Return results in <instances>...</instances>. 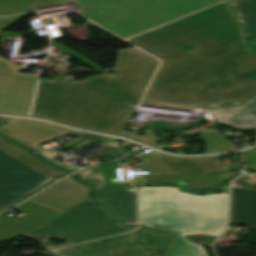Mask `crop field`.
<instances>
[{"label":"crop field","mask_w":256,"mask_h":256,"mask_svg":"<svg viewBox=\"0 0 256 256\" xmlns=\"http://www.w3.org/2000/svg\"><path fill=\"white\" fill-rule=\"evenodd\" d=\"M0 118L7 122V124L0 126V133L28 146L35 152L42 151L40 144L51 139L65 135L69 132L76 134L80 133L79 131L65 129L41 121Z\"/></svg>","instance_id":"crop-field-7"},{"label":"crop field","mask_w":256,"mask_h":256,"mask_svg":"<svg viewBox=\"0 0 256 256\" xmlns=\"http://www.w3.org/2000/svg\"><path fill=\"white\" fill-rule=\"evenodd\" d=\"M18 208L32 214L18 222L3 214H0V241L11 240L46 223L58 215L28 201L24 202Z\"/></svg>","instance_id":"crop-field-10"},{"label":"crop field","mask_w":256,"mask_h":256,"mask_svg":"<svg viewBox=\"0 0 256 256\" xmlns=\"http://www.w3.org/2000/svg\"><path fill=\"white\" fill-rule=\"evenodd\" d=\"M246 169L256 168V148L244 151Z\"/></svg>","instance_id":"crop-field-26"},{"label":"crop field","mask_w":256,"mask_h":256,"mask_svg":"<svg viewBox=\"0 0 256 256\" xmlns=\"http://www.w3.org/2000/svg\"><path fill=\"white\" fill-rule=\"evenodd\" d=\"M232 155L234 157L235 162L230 163L231 166H229L228 170H225L226 172L237 171V170L241 169L240 164H239V155H238V153L232 154Z\"/></svg>","instance_id":"crop-field-29"},{"label":"crop field","mask_w":256,"mask_h":256,"mask_svg":"<svg viewBox=\"0 0 256 256\" xmlns=\"http://www.w3.org/2000/svg\"><path fill=\"white\" fill-rule=\"evenodd\" d=\"M142 156H159L164 175L181 174H214L223 173L224 167L219 156L198 158H177L155 154H142Z\"/></svg>","instance_id":"crop-field-9"},{"label":"crop field","mask_w":256,"mask_h":256,"mask_svg":"<svg viewBox=\"0 0 256 256\" xmlns=\"http://www.w3.org/2000/svg\"><path fill=\"white\" fill-rule=\"evenodd\" d=\"M142 236L138 241L152 249L156 256H168L178 233L142 227L138 229Z\"/></svg>","instance_id":"crop-field-14"},{"label":"crop field","mask_w":256,"mask_h":256,"mask_svg":"<svg viewBox=\"0 0 256 256\" xmlns=\"http://www.w3.org/2000/svg\"><path fill=\"white\" fill-rule=\"evenodd\" d=\"M250 39L256 37V0H230Z\"/></svg>","instance_id":"crop-field-15"},{"label":"crop field","mask_w":256,"mask_h":256,"mask_svg":"<svg viewBox=\"0 0 256 256\" xmlns=\"http://www.w3.org/2000/svg\"><path fill=\"white\" fill-rule=\"evenodd\" d=\"M141 103L195 108V106H191V105H180V104H169V103H158V102H147V101H141ZM238 105L239 104L236 102H231V103L201 105V106H197L196 109H202V108L215 109V108L231 107V106H238Z\"/></svg>","instance_id":"crop-field-24"},{"label":"crop field","mask_w":256,"mask_h":256,"mask_svg":"<svg viewBox=\"0 0 256 256\" xmlns=\"http://www.w3.org/2000/svg\"><path fill=\"white\" fill-rule=\"evenodd\" d=\"M73 1L80 14L128 38L223 0H58Z\"/></svg>","instance_id":"crop-field-2"},{"label":"crop field","mask_w":256,"mask_h":256,"mask_svg":"<svg viewBox=\"0 0 256 256\" xmlns=\"http://www.w3.org/2000/svg\"><path fill=\"white\" fill-rule=\"evenodd\" d=\"M162 145H159V144H157V145H155V146H153L154 148H156V149H158V148H160Z\"/></svg>","instance_id":"crop-field-31"},{"label":"crop field","mask_w":256,"mask_h":256,"mask_svg":"<svg viewBox=\"0 0 256 256\" xmlns=\"http://www.w3.org/2000/svg\"><path fill=\"white\" fill-rule=\"evenodd\" d=\"M99 166L107 182V185H112L110 179L113 177H117L115 173V168L119 167L118 161L99 163Z\"/></svg>","instance_id":"crop-field-23"},{"label":"crop field","mask_w":256,"mask_h":256,"mask_svg":"<svg viewBox=\"0 0 256 256\" xmlns=\"http://www.w3.org/2000/svg\"><path fill=\"white\" fill-rule=\"evenodd\" d=\"M142 170H149V175H142L140 181L133 184H144L143 176L163 175L158 157H142Z\"/></svg>","instance_id":"crop-field-20"},{"label":"crop field","mask_w":256,"mask_h":256,"mask_svg":"<svg viewBox=\"0 0 256 256\" xmlns=\"http://www.w3.org/2000/svg\"><path fill=\"white\" fill-rule=\"evenodd\" d=\"M223 5H224V7H225V9H226V11H227V13H228V15L230 16L231 20L233 21V23H234V25H235V27H236V29H237V31H238L240 37H241V39H240V41H239L238 44H239L240 46H242L250 55H253V56L256 57V52H254L252 49H250V48L244 43V42H246L247 38L245 37V34H244L243 30L241 29L239 23L237 22V19H236V17H235L234 14H233V11H232L230 5L228 4L227 1H226V2H223Z\"/></svg>","instance_id":"crop-field-21"},{"label":"crop field","mask_w":256,"mask_h":256,"mask_svg":"<svg viewBox=\"0 0 256 256\" xmlns=\"http://www.w3.org/2000/svg\"><path fill=\"white\" fill-rule=\"evenodd\" d=\"M231 223L256 227V189L232 187Z\"/></svg>","instance_id":"crop-field-12"},{"label":"crop field","mask_w":256,"mask_h":256,"mask_svg":"<svg viewBox=\"0 0 256 256\" xmlns=\"http://www.w3.org/2000/svg\"><path fill=\"white\" fill-rule=\"evenodd\" d=\"M93 141H99V142L107 143V144H115L103 136L84 133V134L72 139L71 141L67 142L66 144L62 145L61 147L55 148V150L78 148L83 145L89 144Z\"/></svg>","instance_id":"crop-field-18"},{"label":"crop field","mask_w":256,"mask_h":256,"mask_svg":"<svg viewBox=\"0 0 256 256\" xmlns=\"http://www.w3.org/2000/svg\"><path fill=\"white\" fill-rule=\"evenodd\" d=\"M51 179L0 151V211Z\"/></svg>","instance_id":"crop-field-5"},{"label":"crop field","mask_w":256,"mask_h":256,"mask_svg":"<svg viewBox=\"0 0 256 256\" xmlns=\"http://www.w3.org/2000/svg\"><path fill=\"white\" fill-rule=\"evenodd\" d=\"M247 44L250 45L254 50H256V38L249 40Z\"/></svg>","instance_id":"crop-field-30"},{"label":"crop field","mask_w":256,"mask_h":256,"mask_svg":"<svg viewBox=\"0 0 256 256\" xmlns=\"http://www.w3.org/2000/svg\"><path fill=\"white\" fill-rule=\"evenodd\" d=\"M37 154H39V155L43 156L44 158H46V159H48V160L54 162L55 165H57V166H60V167H63V168H66V169H69V170H72V171H74V170L77 169V168H74V167H71V166H68V165H62V164L58 163V161H56V160L53 158V156L56 155V154H58V152H44V151H43V152H39V153H37ZM48 160H47V161H48Z\"/></svg>","instance_id":"crop-field-28"},{"label":"crop field","mask_w":256,"mask_h":256,"mask_svg":"<svg viewBox=\"0 0 256 256\" xmlns=\"http://www.w3.org/2000/svg\"><path fill=\"white\" fill-rule=\"evenodd\" d=\"M220 174L214 175H182V176H153V177H144L145 184L148 182L154 183H167L173 180H184L190 183V185H201L204 187L211 186L220 181ZM194 180H199L200 183H194Z\"/></svg>","instance_id":"crop-field-17"},{"label":"crop field","mask_w":256,"mask_h":256,"mask_svg":"<svg viewBox=\"0 0 256 256\" xmlns=\"http://www.w3.org/2000/svg\"><path fill=\"white\" fill-rule=\"evenodd\" d=\"M129 230L131 229L114 219L103 205L88 197L22 236L39 241L44 249L49 250ZM49 238L68 240L69 243L55 246Z\"/></svg>","instance_id":"crop-field-3"},{"label":"crop field","mask_w":256,"mask_h":256,"mask_svg":"<svg viewBox=\"0 0 256 256\" xmlns=\"http://www.w3.org/2000/svg\"><path fill=\"white\" fill-rule=\"evenodd\" d=\"M138 233L133 231L55 251L56 256H152V254L134 242Z\"/></svg>","instance_id":"crop-field-6"},{"label":"crop field","mask_w":256,"mask_h":256,"mask_svg":"<svg viewBox=\"0 0 256 256\" xmlns=\"http://www.w3.org/2000/svg\"><path fill=\"white\" fill-rule=\"evenodd\" d=\"M176 187H139L140 224L179 232L169 256H208L184 235L218 236L227 225L228 186L220 195L194 196Z\"/></svg>","instance_id":"crop-field-1"},{"label":"crop field","mask_w":256,"mask_h":256,"mask_svg":"<svg viewBox=\"0 0 256 256\" xmlns=\"http://www.w3.org/2000/svg\"><path fill=\"white\" fill-rule=\"evenodd\" d=\"M206 142L207 153H218L237 149L235 144L229 142L225 136L215 129H203L199 132Z\"/></svg>","instance_id":"crop-field-16"},{"label":"crop field","mask_w":256,"mask_h":256,"mask_svg":"<svg viewBox=\"0 0 256 256\" xmlns=\"http://www.w3.org/2000/svg\"><path fill=\"white\" fill-rule=\"evenodd\" d=\"M59 4L57 0H0V16H10L33 8ZM27 14L0 17V32ZM10 61L0 57V114L29 116L37 77L19 73Z\"/></svg>","instance_id":"crop-field-4"},{"label":"crop field","mask_w":256,"mask_h":256,"mask_svg":"<svg viewBox=\"0 0 256 256\" xmlns=\"http://www.w3.org/2000/svg\"><path fill=\"white\" fill-rule=\"evenodd\" d=\"M211 111L219 125L227 124L244 129L256 128V97L242 106Z\"/></svg>","instance_id":"crop-field-13"},{"label":"crop field","mask_w":256,"mask_h":256,"mask_svg":"<svg viewBox=\"0 0 256 256\" xmlns=\"http://www.w3.org/2000/svg\"><path fill=\"white\" fill-rule=\"evenodd\" d=\"M88 191V187L66 178L28 201L60 214L85 199Z\"/></svg>","instance_id":"crop-field-8"},{"label":"crop field","mask_w":256,"mask_h":256,"mask_svg":"<svg viewBox=\"0 0 256 256\" xmlns=\"http://www.w3.org/2000/svg\"><path fill=\"white\" fill-rule=\"evenodd\" d=\"M51 46L61 48V50H60V53H59V54H68V55H70V56H72V57L76 58L77 60H79V61H81V62L85 63L86 65H88V66H90V67L94 68L95 70L100 69L99 67H97V66L93 65L92 63H90V62L86 61L85 59H83V58H81V57L77 56L76 54H74V53H72V52L68 51L67 49H65V48L61 47L60 45H58V44H56V43H54V42H51Z\"/></svg>","instance_id":"crop-field-27"},{"label":"crop field","mask_w":256,"mask_h":256,"mask_svg":"<svg viewBox=\"0 0 256 256\" xmlns=\"http://www.w3.org/2000/svg\"><path fill=\"white\" fill-rule=\"evenodd\" d=\"M94 170H96L98 173L93 174L91 171ZM78 174L80 178L83 179V181L93 184L96 187V189L106 186V182L101 174L98 164L89 166L78 172Z\"/></svg>","instance_id":"crop-field-19"},{"label":"crop field","mask_w":256,"mask_h":256,"mask_svg":"<svg viewBox=\"0 0 256 256\" xmlns=\"http://www.w3.org/2000/svg\"><path fill=\"white\" fill-rule=\"evenodd\" d=\"M126 137H128L131 140L147 144V145H154L160 141H162V138H159L156 136L155 132L151 131L143 136L135 135V134H130V133H125Z\"/></svg>","instance_id":"crop-field-22"},{"label":"crop field","mask_w":256,"mask_h":256,"mask_svg":"<svg viewBox=\"0 0 256 256\" xmlns=\"http://www.w3.org/2000/svg\"><path fill=\"white\" fill-rule=\"evenodd\" d=\"M131 186L109 187L95 194V199L104 203L117 217L137 220L136 194L128 192Z\"/></svg>","instance_id":"crop-field-11"},{"label":"crop field","mask_w":256,"mask_h":256,"mask_svg":"<svg viewBox=\"0 0 256 256\" xmlns=\"http://www.w3.org/2000/svg\"><path fill=\"white\" fill-rule=\"evenodd\" d=\"M102 153L105 156H107L109 159L132 156L131 154L127 153L125 150H123L120 147L109 146V145H107L106 150L103 151Z\"/></svg>","instance_id":"crop-field-25"}]
</instances>
